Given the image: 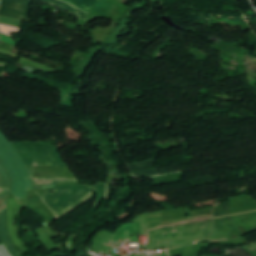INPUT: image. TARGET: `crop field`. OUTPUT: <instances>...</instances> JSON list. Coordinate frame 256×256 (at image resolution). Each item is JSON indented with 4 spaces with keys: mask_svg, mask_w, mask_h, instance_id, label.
I'll use <instances>...</instances> for the list:
<instances>
[{
    "mask_svg": "<svg viewBox=\"0 0 256 256\" xmlns=\"http://www.w3.org/2000/svg\"><path fill=\"white\" fill-rule=\"evenodd\" d=\"M0 159L12 177V192L16 198L25 199L26 190L32 189L28 171L12 145L0 130Z\"/></svg>",
    "mask_w": 256,
    "mask_h": 256,
    "instance_id": "obj_1",
    "label": "crop field"
},
{
    "mask_svg": "<svg viewBox=\"0 0 256 256\" xmlns=\"http://www.w3.org/2000/svg\"><path fill=\"white\" fill-rule=\"evenodd\" d=\"M105 189H106V185L96 186L95 192L97 193V196H96L93 210L97 211L100 202L105 199Z\"/></svg>",
    "mask_w": 256,
    "mask_h": 256,
    "instance_id": "obj_10",
    "label": "crop field"
},
{
    "mask_svg": "<svg viewBox=\"0 0 256 256\" xmlns=\"http://www.w3.org/2000/svg\"><path fill=\"white\" fill-rule=\"evenodd\" d=\"M11 180L0 161V191L10 192ZM9 193L0 192V217L6 216V204ZM4 243L12 256H22L13 244L7 229L6 217L0 218V244Z\"/></svg>",
    "mask_w": 256,
    "mask_h": 256,
    "instance_id": "obj_4",
    "label": "crop field"
},
{
    "mask_svg": "<svg viewBox=\"0 0 256 256\" xmlns=\"http://www.w3.org/2000/svg\"><path fill=\"white\" fill-rule=\"evenodd\" d=\"M110 194H111V187L108 185V189H107V199L106 201H108L109 197H110Z\"/></svg>",
    "mask_w": 256,
    "mask_h": 256,
    "instance_id": "obj_15",
    "label": "crop field"
},
{
    "mask_svg": "<svg viewBox=\"0 0 256 256\" xmlns=\"http://www.w3.org/2000/svg\"><path fill=\"white\" fill-rule=\"evenodd\" d=\"M154 161L155 160L149 161V162L131 164V165H128V167H129L131 172L139 171V170H144V169H150V168L153 167Z\"/></svg>",
    "mask_w": 256,
    "mask_h": 256,
    "instance_id": "obj_11",
    "label": "crop field"
},
{
    "mask_svg": "<svg viewBox=\"0 0 256 256\" xmlns=\"http://www.w3.org/2000/svg\"><path fill=\"white\" fill-rule=\"evenodd\" d=\"M31 3L32 0H1L0 16L30 22L28 13ZM20 15L26 16V19Z\"/></svg>",
    "mask_w": 256,
    "mask_h": 256,
    "instance_id": "obj_5",
    "label": "crop field"
},
{
    "mask_svg": "<svg viewBox=\"0 0 256 256\" xmlns=\"http://www.w3.org/2000/svg\"><path fill=\"white\" fill-rule=\"evenodd\" d=\"M66 1L73 6L88 12L98 0H63Z\"/></svg>",
    "mask_w": 256,
    "mask_h": 256,
    "instance_id": "obj_9",
    "label": "crop field"
},
{
    "mask_svg": "<svg viewBox=\"0 0 256 256\" xmlns=\"http://www.w3.org/2000/svg\"><path fill=\"white\" fill-rule=\"evenodd\" d=\"M159 174L160 173H159V171L157 169L132 173V175L136 179L143 178V177H149V176H155V175H159Z\"/></svg>",
    "mask_w": 256,
    "mask_h": 256,
    "instance_id": "obj_12",
    "label": "crop field"
},
{
    "mask_svg": "<svg viewBox=\"0 0 256 256\" xmlns=\"http://www.w3.org/2000/svg\"><path fill=\"white\" fill-rule=\"evenodd\" d=\"M12 144L18 150L31 175V165L58 164L59 167L66 166L58 149L51 145L30 142H16Z\"/></svg>",
    "mask_w": 256,
    "mask_h": 256,
    "instance_id": "obj_3",
    "label": "crop field"
},
{
    "mask_svg": "<svg viewBox=\"0 0 256 256\" xmlns=\"http://www.w3.org/2000/svg\"><path fill=\"white\" fill-rule=\"evenodd\" d=\"M17 204H18V200L9 199L8 230L14 243L17 245L19 249H21L26 247V245L23 243L21 239V233H20L21 224H19L16 229L14 228V220L16 218V213H17Z\"/></svg>",
    "mask_w": 256,
    "mask_h": 256,
    "instance_id": "obj_6",
    "label": "crop field"
},
{
    "mask_svg": "<svg viewBox=\"0 0 256 256\" xmlns=\"http://www.w3.org/2000/svg\"><path fill=\"white\" fill-rule=\"evenodd\" d=\"M0 31L10 34L11 32H18L19 29L18 28H14V27H9V26H4V25H0Z\"/></svg>",
    "mask_w": 256,
    "mask_h": 256,
    "instance_id": "obj_13",
    "label": "crop field"
},
{
    "mask_svg": "<svg viewBox=\"0 0 256 256\" xmlns=\"http://www.w3.org/2000/svg\"><path fill=\"white\" fill-rule=\"evenodd\" d=\"M0 40L15 45V41H12L8 36L0 33Z\"/></svg>",
    "mask_w": 256,
    "mask_h": 256,
    "instance_id": "obj_14",
    "label": "crop field"
},
{
    "mask_svg": "<svg viewBox=\"0 0 256 256\" xmlns=\"http://www.w3.org/2000/svg\"><path fill=\"white\" fill-rule=\"evenodd\" d=\"M50 191H54L55 193L50 194ZM90 198H92V187H58L46 191L43 195V200L58 218L72 211ZM56 199L57 201L54 203L53 201Z\"/></svg>",
    "mask_w": 256,
    "mask_h": 256,
    "instance_id": "obj_2",
    "label": "crop field"
},
{
    "mask_svg": "<svg viewBox=\"0 0 256 256\" xmlns=\"http://www.w3.org/2000/svg\"><path fill=\"white\" fill-rule=\"evenodd\" d=\"M41 1L51 3V4L57 6L61 9H64V10H66V11H68V12H70V13H72V14H74V15H76V16L84 19V20H86V17H87L86 13H84V12H82V11L64 3V2H61V1H58V0H41Z\"/></svg>",
    "mask_w": 256,
    "mask_h": 256,
    "instance_id": "obj_8",
    "label": "crop field"
},
{
    "mask_svg": "<svg viewBox=\"0 0 256 256\" xmlns=\"http://www.w3.org/2000/svg\"><path fill=\"white\" fill-rule=\"evenodd\" d=\"M79 181L69 178H40L34 179V189L42 188L43 186L55 185L60 183Z\"/></svg>",
    "mask_w": 256,
    "mask_h": 256,
    "instance_id": "obj_7",
    "label": "crop field"
}]
</instances>
